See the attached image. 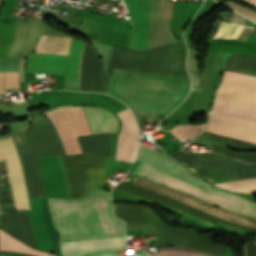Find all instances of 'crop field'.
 <instances>
[{"label": "crop field", "mask_w": 256, "mask_h": 256, "mask_svg": "<svg viewBox=\"0 0 256 256\" xmlns=\"http://www.w3.org/2000/svg\"><path fill=\"white\" fill-rule=\"evenodd\" d=\"M47 200L60 241L124 235V222L112 215L109 192L94 188L78 200Z\"/></svg>", "instance_id": "8a807250"}, {"label": "crop field", "mask_w": 256, "mask_h": 256, "mask_svg": "<svg viewBox=\"0 0 256 256\" xmlns=\"http://www.w3.org/2000/svg\"><path fill=\"white\" fill-rule=\"evenodd\" d=\"M186 79L115 69L108 93L130 107L167 116L187 96Z\"/></svg>", "instance_id": "ac0d7876"}, {"label": "crop field", "mask_w": 256, "mask_h": 256, "mask_svg": "<svg viewBox=\"0 0 256 256\" xmlns=\"http://www.w3.org/2000/svg\"><path fill=\"white\" fill-rule=\"evenodd\" d=\"M128 183H131V184L138 185V186H141L143 188L149 189L151 191L162 194L164 196H167V197L172 198L174 200L180 201V202L185 203L187 205L193 206V207L198 208L200 210L206 211L208 213H211V214L216 215L218 217L224 218L226 220H230V221H234V222H238V223H242V224H246V225L256 227V220L255 219H251V218H247V217H243V216H239V215L229 213L227 211L216 208V207H214V206H212V205H210L206 202H203L201 200L195 199L193 197L187 196L185 194H182L180 192H177L175 190H172L170 188L162 186L158 183L151 182V181H148V180H145V179H142V178H140L137 181H132V182H128ZM131 184L124 183V184L119 185L118 187H116V189L131 193V194H134V195L146 198V199H149L151 201H155V202L165 204V205L170 206V207H172L176 210L188 213V214H190V215H192L196 218H199V219H201L205 222H208L210 224L216 222V223L227 225V226L239 229V230L256 233V228L226 221L224 219L218 218V217L213 216L211 214L205 213V212L200 211L198 209H195L193 207L187 206V205L182 204L180 202L174 201V200L169 199L167 197L161 196L159 194H156L154 192H151L149 190H146V189H143L141 187L134 186V185H131Z\"/></svg>", "instance_id": "34b2d1b8"}, {"label": "crop field", "mask_w": 256, "mask_h": 256, "mask_svg": "<svg viewBox=\"0 0 256 256\" xmlns=\"http://www.w3.org/2000/svg\"><path fill=\"white\" fill-rule=\"evenodd\" d=\"M114 215L126 222V230L142 229L156 236L157 244L183 245L198 252L224 256L228 246L168 227L149 208L139 205L115 206Z\"/></svg>", "instance_id": "412701ff"}, {"label": "crop field", "mask_w": 256, "mask_h": 256, "mask_svg": "<svg viewBox=\"0 0 256 256\" xmlns=\"http://www.w3.org/2000/svg\"><path fill=\"white\" fill-rule=\"evenodd\" d=\"M186 51L184 43L146 51L120 47L115 68L189 79L185 68Z\"/></svg>", "instance_id": "f4fd0767"}, {"label": "crop field", "mask_w": 256, "mask_h": 256, "mask_svg": "<svg viewBox=\"0 0 256 256\" xmlns=\"http://www.w3.org/2000/svg\"><path fill=\"white\" fill-rule=\"evenodd\" d=\"M170 156L195 175L213 184L256 177V164H245L219 154L203 152L189 155L177 151Z\"/></svg>", "instance_id": "dd49c442"}, {"label": "crop field", "mask_w": 256, "mask_h": 256, "mask_svg": "<svg viewBox=\"0 0 256 256\" xmlns=\"http://www.w3.org/2000/svg\"><path fill=\"white\" fill-rule=\"evenodd\" d=\"M207 121L256 132V120H250V119L210 112L208 115ZM209 122H207L206 129H205L208 132L229 137V138L256 143V133L235 129L231 127H226L218 124H213ZM206 131L200 134L198 137L205 138L221 144H230V145L244 146V147H251L256 145L252 143H247L243 141H238L234 139L213 135ZM211 147L213 148L212 150L213 152L231 156L246 162H256V153L244 154V153H237V152L230 151L226 147H217V146H211Z\"/></svg>", "instance_id": "e52e79f7"}, {"label": "crop field", "mask_w": 256, "mask_h": 256, "mask_svg": "<svg viewBox=\"0 0 256 256\" xmlns=\"http://www.w3.org/2000/svg\"><path fill=\"white\" fill-rule=\"evenodd\" d=\"M212 110L256 118V77L226 71Z\"/></svg>", "instance_id": "d8731c3e"}, {"label": "crop field", "mask_w": 256, "mask_h": 256, "mask_svg": "<svg viewBox=\"0 0 256 256\" xmlns=\"http://www.w3.org/2000/svg\"><path fill=\"white\" fill-rule=\"evenodd\" d=\"M138 168H141V169H144L146 171H149V172H152V173H155L157 175H160V176H163V177H166L168 179H171V180H174V181H177V182H180L182 184H185V185H188V186H191L193 188H196V189H199V190H202L204 192H207V193H210L214 196H217L221 199H224L228 202H231L235 205H238V206H242V207H246V208H249V209H253V210H256V204L252 203V202H249L245 199H242L236 195H233L229 192H225V191H222L214 186H210L209 189L207 191L197 187V186H194L188 182H185V181H182V180H179V179H176L166 173H163L157 169H154L146 164H142L140 163ZM136 168L133 173L137 174V175H140V176H143L145 178H148V179H151L155 182H158V183H162V184H165L173 189H176L178 191H181L183 193H186L188 195H191L193 197H196L198 199H201L203 201H206L208 203H211V204H214V205H217V206H220V207H224L232 212H235V213H239V214H243V215H247V216H251V217H255L256 218V211H253V210H249V209H246V208H242V207H238V206H235L231 203H228L224 200H221L217 197H214L210 194H207V193H204L202 191H199V190H196V189H193L191 187H188V186H185V185H182L180 183H177V182H174V181H171V180H168L166 178H163V177H160V176H157L155 174H152V173H149V172H146L144 170H141V169H138ZM223 208V209H224Z\"/></svg>", "instance_id": "5a996713"}, {"label": "crop field", "mask_w": 256, "mask_h": 256, "mask_svg": "<svg viewBox=\"0 0 256 256\" xmlns=\"http://www.w3.org/2000/svg\"><path fill=\"white\" fill-rule=\"evenodd\" d=\"M70 198H81L105 182L103 157L92 154L62 156Z\"/></svg>", "instance_id": "3316defc"}, {"label": "crop field", "mask_w": 256, "mask_h": 256, "mask_svg": "<svg viewBox=\"0 0 256 256\" xmlns=\"http://www.w3.org/2000/svg\"><path fill=\"white\" fill-rule=\"evenodd\" d=\"M46 115L57 130L66 154L81 153L76 136L91 134L82 108H59L46 112Z\"/></svg>", "instance_id": "28ad6ade"}, {"label": "crop field", "mask_w": 256, "mask_h": 256, "mask_svg": "<svg viewBox=\"0 0 256 256\" xmlns=\"http://www.w3.org/2000/svg\"><path fill=\"white\" fill-rule=\"evenodd\" d=\"M70 40L42 36L35 52L67 54ZM43 53L29 55L27 70L64 75L67 55Z\"/></svg>", "instance_id": "d1516ede"}, {"label": "crop field", "mask_w": 256, "mask_h": 256, "mask_svg": "<svg viewBox=\"0 0 256 256\" xmlns=\"http://www.w3.org/2000/svg\"><path fill=\"white\" fill-rule=\"evenodd\" d=\"M133 21L130 48H152V0H123ZM170 44L177 40L169 28Z\"/></svg>", "instance_id": "22f410ed"}, {"label": "crop field", "mask_w": 256, "mask_h": 256, "mask_svg": "<svg viewBox=\"0 0 256 256\" xmlns=\"http://www.w3.org/2000/svg\"><path fill=\"white\" fill-rule=\"evenodd\" d=\"M0 160H6L15 196L16 209H30L23 172L11 138L0 140Z\"/></svg>", "instance_id": "cbeb9de0"}, {"label": "crop field", "mask_w": 256, "mask_h": 256, "mask_svg": "<svg viewBox=\"0 0 256 256\" xmlns=\"http://www.w3.org/2000/svg\"><path fill=\"white\" fill-rule=\"evenodd\" d=\"M107 78L98 62V51L91 45L84 46L81 65L80 90L106 92Z\"/></svg>", "instance_id": "5142ce71"}, {"label": "crop field", "mask_w": 256, "mask_h": 256, "mask_svg": "<svg viewBox=\"0 0 256 256\" xmlns=\"http://www.w3.org/2000/svg\"><path fill=\"white\" fill-rule=\"evenodd\" d=\"M137 160L147 163L163 172H166L176 178L188 181L205 190L210 186L209 184L191 176L181 167H179L167 154L158 153L149 147L140 144L139 154Z\"/></svg>", "instance_id": "d9b57169"}, {"label": "crop field", "mask_w": 256, "mask_h": 256, "mask_svg": "<svg viewBox=\"0 0 256 256\" xmlns=\"http://www.w3.org/2000/svg\"><path fill=\"white\" fill-rule=\"evenodd\" d=\"M63 256H81L95 251L126 249L124 236L60 242Z\"/></svg>", "instance_id": "733c2abd"}, {"label": "crop field", "mask_w": 256, "mask_h": 256, "mask_svg": "<svg viewBox=\"0 0 256 256\" xmlns=\"http://www.w3.org/2000/svg\"><path fill=\"white\" fill-rule=\"evenodd\" d=\"M0 215L4 231L36 249L26 210L0 211Z\"/></svg>", "instance_id": "4a817a6b"}, {"label": "crop field", "mask_w": 256, "mask_h": 256, "mask_svg": "<svg viewBox=\"0 0 256 256\" xmlns=\"http://www.w3.org/2000/svg\"><path fill=\"white\" fill-rule=\"evenodd\" d=\"M117 114L121 120L128 119V128L126 135H119L116 159L132 162L137 152L140 130L128 108Z\"/></svg>", "instance_id": "bc2a9ffb"}, {"label": "crop field", "mask_w": 256, "mask_h": 256, "mask_svg": "<svg viewBox=\"0 0 256 256\" xmlns=\"http://www.w3.org/2000/svg\"><path fill=\"white\" fill-rule=\"evenodd\" d=\"M85 20L86 37L101 43L129 48L131 32L107 26L93 20Z\"/></svg>", "instance_id": "214f88e0"}, {"label": "crop field", "mask_w": 256, "mask_h": 256, "mask_svg": "<svg viewBox=\"0 0 256 256\" xmlns=\"http://www.w3.org/2000/svg\"><path fill=\"white\" fill-rule=\"evenodd\" d=\"M84 43L80 41H72L66 72V88L79 90L80 65L82 59Z\"/></svg>", "instance_id": "92a150f3"}, {"label": "crop field", "mask_w": 256, "mask_h": 256, "mask_svg": "<svg viewBox=\"0 0 256 256\" xmlns=\"http://www.w3.org/2000/svg\"><path fill=\"white\" fill-rule=\"evenodd\" d=\"M83 108L85 110V113L88 118V121H89V124H90L93 134L102 133V132H110V131L116 132L117 121H116L114 115H112L106 111V115H107V119H108V123H109V127H110V131H109V127H108L104 109L93 108V107H83Z\"/></svg>", "instance_id": "dafd665d"}, {"label": "crop field", "mask_w": 256, "mask_h": 256, "mask_svg": "<svg viewBox=\"0 0 256 256\" xmlns=\"http://www.w3.org/2000/svg\"><path fill=\"white\" fill-rule=\"evenodd\" d=\"M12 136H13L14 143L22 163L23 172L26 179V183H27L28 195L29 197H38L35 183H34L32 169L29 163L28 154L26 152L23 139L20 136L19 131L13 133Z\"/></svg>", "instance_id": "00972430"}, {"label": "crop field", "mask_w": 256, "mask_h": 256, "mask_svg": "<svg viewBox=\"0 0 256 256\" xmlns=\"http://www.w3.org/2000/svg\"><path fill=\"white\" fill-rule=\"evenodd\" d=\"M226 70L256 76V57L232 54L226 61Z\"/></svg>", "instance_id": "a9b5d70f"}, {"label": "crop field", "mask_w": 256, "mask_h": 256, "mask_svg": "<svg viewBox=\"0 0 256 256\" xmlns=\"http://www.w3.org/2000/svg\"><path fill=\"white\" fill-rule=\"evenodd\" d=\"M0 250H7V251H14V252H20V253H26L30 255H35V256H47V253L40 252L38 250H34L9 234L3 232L0 230Z\"/></svg>", "instance_id": "4177f3b9"}, {"label": "crop field", "mask_w": 256, "mask_h": 256, "mask_svg": "<svg viewBox=\"0 0 256 256\" xmlns=\"http://www.w3.org/2000/svg\"><path fill=\"white\" fill-rule=\"evenodd\" d=\"M223 189L241 192H256V178L215 184Z\"/></svg>", "instance_id": "730fd06b"}, {"label": "crop field", "mask_w": 256, "mask_h": 256, "mask_svg": "<svg viewBox=\"0 0 256 256\" xmlns=\"http://www.w3.org/2000/svg\"><path fill=\"white\" fill-rule=\"evenodd\" d=\"M205 124H190V125H181L176 126L169 132L177 135L183 141H188L189 139L199 135Z\"/></svg>", "instance_id": "eef30255"}, {"label": "crop field", "mask_w": 256, "mask_h": 256, "mask_svg": "<svg viewBox=\"0 0 256 256\" xmlns=\"http://www.w3.org/2000/svg\"><path fill=\"white\" fill-rule=\"evenodd\" d=\"M151 256H210L182 248H160V252H149Z\"/></svg>", "instance_id": "ae1a2a85"}, {"label": "crop field", "mask_w": 256, "mask_h": 256, "mask_svg": "<svg viewBox=\"0 0 256 256\" xmlns=\"http://www.w3.org/2000/svg\"><path fill=\"white\" fill-rule=\"evenodd\" d=\"M187 64H188V71L192 79L191 90H199L200 78L196 70V51H189Z\"/></svg>", "instance_id": "d3111659"}, {"label": "crop field", "mask_w": 256, "mask_h": 256, "mask_svg": "<svg viewBox=\"0 0 256 256\" xmlns=\"http://www.w3.org/2000/svg\"><path fill=\"white\" fill-rule=\"evenodd\" d=\"M224 5L232 8L233 10H235V11H237V12H239V13H241V14H243V15L251 18V19H253L254 21H256V12L255 11L250 10L248 8H245V7L241 6V5H238V4H236V3H234V2H232L230 0L227 3H225Z\"/></svg>", "instance_id": "750c4746"}, {"label": "crop field", "mask_w": 256, "mask_h": 256, "mask_svg": "<svg viewBox=\"0 0 256 256\" xmlns=\"http://www.w3.org/2000/svg\"><path fill=\"white\" fill-rule=\"evenodd\" d=\"M5 89H20L18 83V70L6 73Z\"/></svg>", "instance_id": "bd1437ed"}, {"label": "crop field", "mask_w": 256, "mask_h": 256, "mask_svg": "<svg viewBox=\"0 0 256 256\" xmlns=\"http://www.w3.org/2000/svg\"><path fill=\"white\" fill-rule=\"evenodd\" d=\"M85 256H148V255H146L143 252L131 253L126 255H117L116 252H103V253H94V254L85 255Z\"/></svg>", "instance_id": "1d83c4d3"}, {"label": "crop field", "mask_w": 256, "mask_h": 256, "mask_svg": "<svg viewBox=\"0 0 256 256\" xmlns=\"http://www.w3.org/2000/svg\"><path fill=\"white\" fill-rule=\"evenodd\" d=\"M118 49L119 48L113 47L112 57H111V61H110V65H109L108 71H107V74L110 75V76L112 75V72H113V69H114V65H115Z\"/></svg>", "instance_id": "120bbe31"}, {"label": "crop field", "mask_w": 256, "mask_h": 256, "mask_svg": "<svg viewBox=\"0 0 256 256\" xmlns=\"http://www.w3.org/2000/svg\"><path fill=\"white\" fill-rule=\"evenodd\" d=\"M245 256H256V244L245 245Z\"/></svg>", "instance_id": "d32e631a"}, {"label": "crop field", "mask_w": 256, "mask_h": 256, "mask_svg": "<svg viewBox=\"0 0 256 256\" xmlns=\"http://www.w3.org/2000/svg\"><path fill=\"white\" fill-rule=\"evenodd\" d=\"M24 78V58H20V75L19 81H23Z\"/></svg>", "instance_id": "5866460e"}, {"label": "crop field", "mask_w": 256, "mask_h": 256, "mask_svg": "<svg viewBox=\"0 0 256 256\" xmlns=\"http://www.w3.org/2000/svg\"><path fill=\"white\" fill-rule=\"evenodd\" d=\"M4 73H0V94L3 93Z\"/></svg>", "instance_id": "028f5c9d"}, {"label": "crop field", "mask_w": 256, "mask_h": 256, "mask_svg": "<svg viewBox=\"0 0 256 256\" xmlns=\"http://www.w3.org/2000/svg\"><path fill=\"white\" fill-rule=\"evenodd\" d=\"M49 256H55V255H51V254H50Z\"/></svg>", "instance_id": "e1f06a70"}]
</instances>
